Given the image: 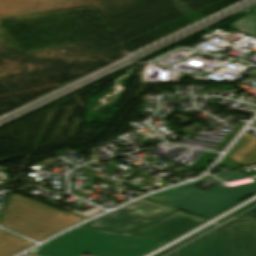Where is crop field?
Instances as JSON below:
<instances>
[{
  "instance_id": "8a807250",
  "label": "crop field",
  "mask_w": 256,
  "mask_h": 256,
  "mask_svg": "<svg viewBox=\"0 0 256 256\" xmlns=\"http://www.w3.org/2000/svg\"><path fill=\"white\" fill-rule=\"evenodd\" d=\"M119 233L78 227L37 248L39 256H141L163 243L118 236Z\"/></svg>"
},
{
  "instance_id": "ac0d7876",
  "label": "crop field",
  "mask_w": 256,
  "mask_h": 256,
  "mask_svg": "<svg viewBox=\"0 0 256 256\" xmlns=\"http://www.w3.org/2000/svg\"><path fill=\"white\" fill-rule=\"evenodd\" d=\"M212 178L208 177L199 182ZM215 182L218 184L206 191L196 189L194 186L197 183H195L148 196L146 199L207 218L256 191V183L226 188L221 185L222 181ZM176 205L181 207H174Z\"/></svg>"
},
{
  "instance_id": "34b2d1b8",
  "label": "crop field",
  "mask_w": 256,
  "mask_h": 256,
  "mask_svg": "<svg viewBox=\"0 0 256 256\" xmlns=\"http://www.w3.org/2000/svg\"><path fill=\"white\" fill-rule=\"evenodd\" d=\"M174 210L140 200L94 220L93 227L123 232L153 222Z\"/></svg>"
},
{
  "instance_id": "412701ff",
  "label": "crop field",
  "mask_w": 256,
  "mask_h": 256,
  "mask_svg": "<svg viewBox=\"0 0 256 256\" xmlns=\"http://www.w3.org/2000/svg\"><path fill=\"white\" fill-rule=\"evenodd\" d=\"M202 222L201 219L177 211L162 221L120 235L166 243Z\"/></svg>"
},
{
  "instance_id": "f4fd0767",
  "label": "crop field",
  "mask_w": 256,
  "mask_h": 256,
  "mask_svg": "<svg viewBox=\"0 0 256 256\" xmlns=\"http://www.w3.org/2000/svg\"><path fill=\"white\" fill-rule=\"evenodd\" d=\"M200 245H204V248H200ZM179 256H219V248L215 231H212L181 248Z\"/></svg>"
},
{
  "instance_id": "dd49c442",
  "label": "crop field",
  "mask_w": 256,
  "mask_h": 256,
  "mask_svg": "<svg viewBox=\"0 0 256 256\" xmlns=\"http://www.w3.org/2000/svg\"><path fill=\"white\" fill-rule=\"evenodd\" d=\"M234 256H249L243 220L228 222Z\"/></svg>"
},
{
  "instance_id": "e52e79f7",
  "label": "crop field",
  "mask_w": 256,
  "mask_h": 256,
  "mask_svg": "<svg viewBox=\"0 0 256 256\" xmlns=\"http://www.w3.org/2000/svg\"><path fill=\"white\" fill-rule=\"evenodd\" d=\"M228 27L256 39V14H249L229 24Z\"/></svg>"
},
{
  "instance_id": "d8731c3e",
  "label": "crop field",
  "mask_w": 256,
  "mask_h": 256,
  "mask_svg": "<svg viewBox=\"0 0 256 256\" xmlns=\"http://www.w3.org/2000/svg\"><path fill=\"white\" fill-rule=\"evenodd\" d=\"M218 237L220 256H233L228 225L225 224L215 229Z\"/></svg>"
},
{
  "instance_id": "5a996713",
  "label": "crop field",
  "mask_w": 256,
  "mask_h": 256,
  "mask_svg": "<svg viewBox=\"0 0 256 256\" xmlns=\"http://www.w3.org/2000/svg\"><path fill=\"white\" fill-rule=\"evenodd\" d=\"M250 256H256V228L254 220H244Z\"/></svg>"
},
{
  "instance_id": "3316defc",
  "label": "crop field",
  "mask_w": 256,
  "mask_h": 256,
  "mask_svg": "<svg viewBox=\"0 0 256 256\" xmlns=\"http://www.w3.org/2000/svg\"><path fill=\"white\" fill-rule=\"evenodd\" d=\"M253 175H256V173L245 176L240 170H237V171L228 172V173H224V174H218V175H214V176L222 179L223 181H235V180H239V179L253 176Z\"/></svg>"
},
{
  "instance_id": "28ad6ade",
  "label": "crop field",
  "mask_w": 256,
  "mask_h": 256,
  "mask_svg": "<svg viewBox=\"0 0 256 256\" xmlns=\"http://www.w3.org/2000/svg\"><path fill=\"white\" fill-rule=\"evenodd\" d=\"M239 217H256V208L252 209L251 211H249Z\"/></svg>"
},
{
  "instance_id": "d1516ede",
  "label": "crop field",
  "mask_w": 256,
  "mask_h": 256,
  "mask_svg": "<svg viewBox=\"0 0 256 256\" xmlns=\"http://www.w3.org/2000/svg\"><path fill=\"white\" fill-rule=\"evenodd\" d=\"M179 251H180V250H178V251H176V252H174V253H172V254H170V255H168V256H178V255H179Z\"/></svg>"
},
{
  "instance_id": "22f410ed",
  "label": "crop field",
  "mask_w": 256,
  "mask_h": 256,
  "mask_svg": "<svg viewBox=\"0 0 256 256\" xmlns=\"http://www.w3.org/2000/svg\"><path fill=\"white\" fill-rule=\"evenodd\" d=\"M255 222H256V220H255Z\"/></svg>"
}]
</instances>
